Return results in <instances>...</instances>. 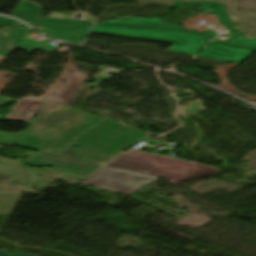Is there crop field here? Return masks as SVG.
<instances>
[{"mask_svg":"<svg viewBox=\"0 0 256 256\" xmlns=\"http://www.w3.org/2000/svg\"><path fill=\"white\" fill-rule=\"evenodd\" d=\"M91 26L75 28L71 30L58 29V28H50V27H35L38 30L44 32L45 34L60 40H64L66 42L75 44L80 46L83 39L89 32Z\"/></svg>","mask_w":256,"mask_h":256,"instance_id":"10","label":"crop field"},{"mask_svg":"<svg viewBox=\"0 0 256 256\" xmlns=\"http://www.w3.org/2000/svg\"><path fill=\"white\" fill-rule=\"evenodd\" d=\"M107 24H121V25H136V26H151V27H172V28H180V29H186L179 26H173V25H167L162 19L154 18V19H145V18H128L125 20H111L107 22H103ZM195 32H198L197 30H192ZM202 34L215 36L216 34L213 32H210V30H207L205 32H199Z\"/></svg>","mask_w":256,"mask_h":256,"instance_id":"11","label":"crop field"},{"mask_svg":"<svg viewBox=\"0 0 256 256\" xmlns=\"http://www.w3.org/2000/svg\"><path fill=\"white\" fill-rule=\"evenodd\" d=\"M158 177L103 167L83 184L133 195Z\"/></svg>","mask_w":256,"mask_h":256,"instance_id":"5","label":"crop field"},{"mask_svg":"<svg viewBox=\"0 0 256 256\" xmlns=\"http://www.w3.org/2000/svg\"><path fill=\"white\" fill-rule=\"evenodd\" d=\"M13 25H24V24L15 20L5 18V17H0V26H13Z\"/></svg>","mask_w":256,"mask_h":256,"instance_id":"16","label":"crop field"},{"mask_svg":"<svg viewBox=\"0 0 256 256\" xmlns=\"http://www.w3.org/2000/svg\"><path fill=\"white\" fill-rule=\"evenodd\" d=\"M0 256H35V255H27V254H15V255H8L4 252H0Z\"/></svg>","mask_w":256,"mask_h":256,"instance_id":"17","label":"crop field"},{"mask_svg":"<svg viewBox=\"0 0 256 256\" xmlns=\"http://www.w3.org/2000/svg\"><path fill=\"white\" fill-rule=\"evenodd\" d=\"M49 40L45 39L41 42H35L29 38H26L23 43L18 46V48L22 49V50H25L27 52L31 51V49H34V50H38V51H42V52H47V53H51L59 48L55 47V46H52L50 44H48Z\"/></svg>","mask_w":256,"mask_h":256,"instance_id":"13","label":"crop field"},{"mask_svg":"<svg viewBox=\"0 0 256 256\" xmlns=\"http://www.w3.org/2000/svg\"><path fill=\"white\" fill-rule=\"evenodd\" d=\"M182 3H193V2H178V3H172V4H182Z\"/></svg>","mask_w":256,"mask_h":256,"instance_id":"18","label":"crop field"},{"mask_svg":"<svg viewBox=\"0 0 256 256\" xmlns=\"http://www.w3.org/2000/svg\"><path fill=\"white\" fill-rule=\"evenodd\" d=\"M92 32L174 43V45L169 49L170 51L192 55H195L201 48H203L208 43L206 40L209 38L195 33L179 30L108 25H96Z\"/></svg>","mask_w":256,"mask_h":256,"instance_id":"4","label":"crop field"},{"mask_svg":"<svg viewBox=\"0 0 256 256\" xmlns=\"http://www.w3.org/2000/svg\"><path fill=\"white\" fill-rule=\"evenodd\" d=\"M147 135L118 123L105 121L66 146L53 155L79 159L102 164ZM73 146H80L72 150Z\"/></svg>","mask_w":256,"mask_h":256,"instance_id":"2","label":"crop field"},{"mask_svg":"<svg viewBox=\"0 0 256 256\" xmlns=\"http://www.w3.org/2000/svg\"><path fill=\"white\" fill-rule=\"evenodd\" d=\"M108 166L159 175L177 184L217 171L205 165L138 151L125 153L110 162Z\"/></svg>","mask_w":256,"mask_h":256,"instance_id":"3","label":"crop field"},{"mask_svg":"<svg viewBox=\"0 0 256 256\" xmlns=\"http://www.w3.org/2000/svg\"><path fill=\"white\" fill-rule=\"evenodd\" d=\"M253 52H256V49L237 48L219 42H214L203 50L198 57L241 63Z\"/></svg>","mask_w":256,"mask_h":256,"instance_id":"7","label":"crop field"},{"mask_svg":"<svg viewBox=\"0 0 256 256\" xmlns=\"http://www.w3.org/2000/svg\"><path fill=\"white\" fill-rule=\"evenodd\" d=\"M186 5H200L202 7L200 11L203 12L204 14H215L219 16V21L237 36L236 38L226 43L236 45V46L256 47V40H247L240 31L232 27L231 20L227 16L226 8L224 4L215 3V2H194V4H182V5H174V6L177 9H180ZM206 8L210 9L213 12L204 11Z\"/></svg>","mask_w":256,"mask_h":256,"instance_id":"6","label":"crop field"},{"mask_svg":"<svg viewBox=\"0 0 256 256\" xmlns=\"http://www.w3.org/2000/svg\"><path fill=\"white\" fill-rule=\"evenodd\" d=\"M1 149H4V147L0 146V150H1Z\"/></svg>","mask_w":256,"mask_h":256,"instance_id":"19","label":"crop field"},{"mask_svg":"<svg viewBox=\"0 0 256 256\" xmlns=\"http://www.w3.org/2000/svg\"><path fill=\"white\" fill-rule=\"evenodd\" d=\"M94 22L80 21V20H62V19H50L45 18L41 20L39 25H53V26H64V27H75L81 26Z\"/></svg>","mask_w":256,"mask_h":256,"instance_id":"14","label":"crop field"},{"mask_svg":"<svg viewBox=\"0 0 256 256\" xmlns=\"http://www.w3.org/2000/svg\"><path fill=\"white\" fill-rule=\"evenodd\" d=\"M29 163L38 166L51 165L64 172L72 173L78 176H86L88 173H90L91 171L98 167V165L82 163L51 156H44L39 154H36L34 157H32L29 160Z\"/></svg>","mask_w":256,"mask_h":256,"instance_id":"8","label":"crop field"},{"mask_svg":"<svg viewBox=\"0 0 256 256\" xmlns=\"http://www.w3.org/2000/svg\"><path fill=\"white\" fill-rule=\"evenodd\" d=\"M33 121L34 129L22 138L21 146L52 153L85 130L103 120L59 105Z\"/></svg>","mask_w":256,"mask_h":256,"instance_id":"1","label":"crop field"},{"mask_svg":"<svg viewBox=\"0 0 256 256\" xmlns=\"http://www.w3.org/2000/svg\"><path fill=\"white\" fill-rule=\"evenodd\" d=\"M192 106L179 109V111L182 113V117L186 118L191 116L192 114L196 112H200L203 110L202 102L201 100H197L193 103H191Z\"/></svg>","mask_w":256,"mask_h":256,"instance_id":"15","label":"crop field"},{"mask_svg":"<svg viewBox=\"0 0 256 256\" xmlns=\"http://www.w3.org/2000/svg\"><path fill=\"white\" fill-rule=\"evenodd\" d=\"M32 31L27 27L3 28L0 32V56L7 58Z\"/></svg>","mask_w":256,"mask_h":256,"instance_id":"9","label":"crop field"},{"mask_svg":"<svg viewBox=\"0 0 256 256\" xmlns=\"http://www.w3.org/2000/svg\"><path fill=\"white\" fill-rule=\"evenodd\" d=\"M40 14L41 7L39 5L26 0H22L12 16L38 25L40 22Z\"/></svg>","mask_w":256,"mask_h":256,"instance_id":"12","label":"crop field"}]
</instances>
